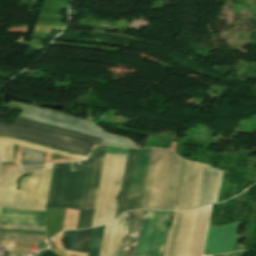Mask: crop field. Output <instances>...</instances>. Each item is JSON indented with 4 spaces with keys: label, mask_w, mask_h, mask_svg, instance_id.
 <instances>
[{
    "label": "crop field",
    "mask_w": 256,
    "mask_h": 256,
    "mask_svg": "<svg viewBox=\"0 0 256 256\" xmlns=\"http://www.w3.org/2000/svg\"><path fill=\"white\" fill-rule=\"evenodd\" d=\"M170 151L152 149L141 209L174 210L184 160Z\"/></svg>",
    "instance_id": "8a807250"
},
{
    "label": "crop field",
    "mask_w": 256,
    "mask_h": 256,
    "mask_svg": "<svg viewBox=\"0 0 256 256\" xmlns=\"http://www.w3.org/2000/svg\"><path fill=\"white\" fill-rule=\"evenodd\" d=\"M53 164L45 168L23 167L8 173L0 180V207L45 211ZM26 173L16 190L18 180Z\"/></svg>",
    "instance_id": "ac0d7876"
},
{
    "label": "crop field",
    "mask_w": 256,
    "mask_h": 256,
    "mask_svg": "<svg viewBox=\"0 0 256 256\" xmlns=\"http://www.w3.org/2000/svg\"><path fill=\"white\" fill-rule=\"evenodd\" d=\"M1 136H13L88 155L100 138L18 118L15 125L0 124Z\"/></svg>",
    "instance_id": "34b2d1b8"
},
{
    "label": "crop field",
    "mask_w": 256,
    "mask_h": 256,
    "mask_svg": "<svg viewBox=\"0 0 256 256\" xmlns=\"http://www.w3.org/2000/svg\"><path fill=\"white\" fill-rule=\"evenodd\" d=\"M210 207L178 212L168 233L164 256H201Z\"/></svg>",
    "instance_id": "412701ff"
},
{
    "label": "crop field",
    "mask_w": 256,
    "mask_h": 256,
    "mask_svg": "<svg viewBox=\"0 0 256 256\" xmlns=\"http://www.w3.org/2000/svg\"><path fill=\"white\" fill-rule=\"evenodd\" d=\"M222 174L203 164L186 162L176 210L215 203Z\"/></svg>",
    "instance_id": "f4fd0767"
},
{
    "label": "crop field",
    "mask_w": 256,
    "mask_h": 256,
    "mask_svg": "<svg viewBox=\"0 0 256 256\" xmlns=\"http://www.w3.org/2000/svg\"><path fill=\"white\" fill-rule=\"evenodd\" d=\"M88 162L55 164L47 209L79 210Z\"/></svg>",
    "instance_id": "dd49c442"
},
{
    "label": "crop field",
    "mask_w": 256,
    "mask_h": 256,
    "mask_svg": "<svg viewBox=\"0 0 256 256\" xmlns=\"http://www.w3.org/2000/svg\"><path fill=\"white\" fill-rule=\"evenodd\" d=\"M125 161L126 157L105 154L92 226L114 219Z\"/></svg>",
    "instance_id": "e52e79f7"
},
{
    "label": "crop field",
    "mask_w": 256,
    "mask_h": 256,
    "mask_svg": "<svg viewBox=\"0 0 256 256\" xmlns=\"http://www.w3.org/2000/svg\"><path fill=\"white\" fill-rule=\"evenodd\" d=\"M21 105L25 111L20 117L48 123L51 125L79 131L81 133L97 136L103 138L101 144H114L123 147H137L127 139L120 138L119 136L104 133L100 130L96 123L74 118L73 116L61 114L58 112L28 106L20 103L13 102Z\"/></svg>",
    "instance_id": "d8731c3e"
},
{
    "label": "crop field",
    "mask_w": 256,
    "mask_h": 256,
    "mask_svg": "<svg viewBox=\"0 0 256 256\" xmlns=\"http://www.w3.org/2000/svg\"><path fill=\"white\" fill-rule=\"evenodd\" d=\"M170 211L144 210L135 256H162Z\"/></svg>",
    "instance_id": "5a996713"
},
{
    "label": "crop field",
    "mask_w": 256,
    "mask_h": 256,
    "mask_svg": "<svg viewBox=\"0 0 256 256\" xmlns=\"http://www.w3.org/2000/svg\"><path fill=\"white\" fill-rule=\"evenodd\" d=\"M240 222L224 226L208 227L205 255L231 252L236 240Z\"/></svg>",
    "instance_id": "3316defc"
},
{
    "label": "crop field",
    "mask_w": 256,
    "mask_h": 256,
    "mask_svg": "<svg viewBox=\"0 0 256 256\" xmlns=\"http://www.w3.org/2000/svg\"><path fill=\"white\" fill-rule=\"evenodd\" d=\"M143 210L129 211L126 214L119 256H134Z\"/></svg>",
    "instance_id": "28ad6ade"
},
{
    "label": "crop field",
    "mask_w": 256,
    "mask_h": 256,
    "mask_svg": "<svg viewBox=\"0 0 256 256\" xmlns=\"http://www.w3.org/2000/svg\"><path fill=\"white\" fill-rule=\"evenodd\" d=\"M125 214L106 224L100 256H118Z\"/></svg>",
    "instance_id": "d1516ede"
},
{
    "label": "crop field",
    "mask_w": 256,
    "mask_h": 256,
    "mask_svg": "<svg viewBox=\"0 0 256 256\" xmlns=\"http://www.w3.org/2000/svg\"><path fill=\"white\" fill-rule=\"evenodd\" d=\"M13 143L31 147V148H35V149H39V150H43V151H47V152H51V153H55V154L65 155V156H69V157H73V158H79V159L84 158V156L70 154V153H66V152L30 144L27 142H23V141L11 139V138L0 137V161H1V163L13 162Z\"/></svg>",
    "instance_id": "22f410ed"
},
{
    "label": "crop field",
    "mask_w": 256,
    "mask_h": 256,
    "mask_svg": "<svg viewBox=\"0 0 256 256\" xmlns=\"http://www.w3.org/2000/svg\"><path fill=\"white\" fill-rule=\"evenodd\" d=\"M106 146H99L83 228L90 227Z\"/></svg>",
    "instance_id": "cbeb9de0"
},
{
    "label": "crop field",
    "mask_w": 256,
    "mask_h": 256,
    "mask_svg": "<svg viewBox=\"0 0 256 256\" xmlns=\"http://www.w3.org/2000/svg\"><path fill=\"white\" fill-rule=\"evenodd\" d=\"M135 151H136V149H130V151H129L128 162H127V167H126V172H125V178H124V183H123V188H122V194H121V199H120V204H119L118 215H120L122 212H124V209H125L126 198H127V193H128L129 183H130V177H131V172H132V167H133V162H134Z\"/></svg>",
    "instance_id": "5142ce71"
},
{
    "label": "crop field",
    "mask_w": 256,
    "mask_h": 256,
    "mask_svg": "<svg viewBox=\"0 0 256 256\" xmlns=\"http://www.w3.org/2000/svg\"><path fill=\"white\" fill-rule=\"evenodd\" d=\"M94 160H95V158L91 159L90 163H89V168H88V173H87V178H86V183H85V188H84V193H83V199H82V204H81V210H80V216H79L77 229H81L82 226H83V220H84L87 198H88V193H89V188H90V182H91V177H92Z\"/></svg>",
    "instance_id": "d9b57169"
},
{
    "label": "crop field",
    "mask_w": 256,
    "mask_h": 256,
    "mask_svg": "<svg viewBox=\"0 0 256 256\" xmlns=\"http://www.w3.org/2000/svg\"><path fill=\"white\" fill-rule=\"evenodd\" d=\"M40 164H44V152L25 147L24 158L22 160L21 166Z\"/></svg>",
    "instance_id": "733c2abd"
},
{
    "label": "crop field",
    "mask_w": 256,
    "mask_h": 256,
    "mask_svg": "<svg viewBox=\"0 0 256 256\" xmlns=\"http://www.w3.org/2000/svg\"><path fill=\"white\" fill-rule=\"evenodd\" d=\"M104 227L105 225L94 228L89 256H99Z\"/></svg>",
    "instance_id": "4a817a6b"
},
{
    "label": "crop field",
    "mask_w": 256,
    "mask_h": 256,
    "mask_svg": "<svg viewBox=\"0 0 256 256\" xmlns=\"http://www.w3.org/2000/svg\"><path fill=\"white\" fill-rule=\"evenodd\" d=\"M91 230L92 228L86 229V230H80L76 250L87 253Z\"/></svg>",
    "instance_id": "bc2a9ffb"
},
{
    "label": "crop field",
    "mask_w": 256,
    "mask_h": 256,
    "mask_svg": "<svg viewBox=\"0 0 256 256\" xmlns=\"http://www.w3.org/2000/svg\"><path fill=\"white\" fill-rule=\"evenodd\" d=\"M5 228H20V229H30V230H40V231H44V227H40V226L10 224V223H6V224H5Z\"/></svg>",
    "instance_id": "214f88e0"
},
{
    "label": "crop field",
    "mask_w": 256,
    "mask_h": 256,
    "mask_svg": "<svg viewBox=\"0 0 256 256\" xmlns=\"http://www.w3.org/2000/svg\"><path fill=\"white\" fill-rule=\"evenodd\" d=\"M78 232H79V230H77V231H68L70 249L75 250V248H76Z\"/></svg>",
    "instance_id": "92a150f3"
},
{
    "label": "crop field",
    "mask_w": 256,
    "mask_h": 256,
    "mask_svg": "<svg viewBox=\"0 0 256 256\" xmlns=\"http://www.w3.org/2000/svg\"><path fill=\"white\" fill-rule=\"evenodd\" d=\"M0 238L18 240V241L43 242V239H40V238L9 237V236H0Z\"/></svg>",
    "instance_id": "dafd665d"
},
{
    "label": "crop field",
    "mask_w": 256,
    "mask_h": 256,
    "mask_svg": "<svg viewBox=\"0 0 256 256\" xmlns=\"http://www.w3.org/2000/svg\"><path fill=\"white\" fill-rule=\"evenodd\" d=\"M236 252L234 253H230V254H224V255H221V256H235Z\"/></svg>",
    "instance_id": "00972430"
}]
</instances>
